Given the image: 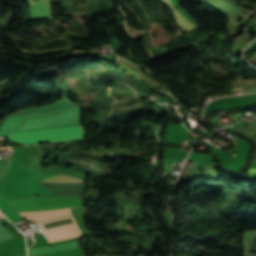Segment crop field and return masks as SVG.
<instances>
[{"instance_id": "6", "label": "crop field", "mask_w": 256, "mask_h": 256, "mask_svg": "<svg viewBox=\"0 0 256 256\" xmlns=\"http://www.w3.org/2000/svg\"><path fill=\"white\" fill-rule=\"evenodd\" d=\"M78 247H79V242L78 241H74V242H70V243H66V244H61V245H56V246H52V247L29 250L28 254H29V256H31V255L55 252V251L72 249V248H78Z\"/></svg>"}, {"instance_id": "1", "label": "crop field", "mask_w": 256, "mask_h": 256, "mask_svg": "<svg viewBox=\"0 0 256 256\" xmlns=\"http://www.w3.org/2000/svg\"><path fill=\"white\" fill-rule=\"evenodd\" d=\"M9 174L5 178L8 199L33 195H55L45 186L22 171L28 169L13 158L8 162ZM41 183H82L75 177L64 173L40 181Z\"/></svg>"}, {"instance_id": "4", "label": "crop field", "mask_w": 256, "mask_h": 256, "mask_svg": "<svg viewBox=\"0 0 256 256\" xmlns=\"http://www.w3.org/2000/svg\"><path fill=\"white\" fill-rule=\"evenodd\" d=\"M164 4L172 11L175 17V21L180 29L185 32L193 31L199 29L194 24H192L188 19H186L172 4L170 0H163Z\"/></svg>"}, {"instance_id": "8", "label": "crop field", "mask_w": 256, "mask_h": 256, "mask_svg": "<svg viewBox=\"0 0 256 256\" xmlns=\"http://www.w3.org/2000/svg\"><path fill=\"white\" fill-rule=\"evenodd\" d=\"M3 217L1 214H0V218Z\"/></svg>"}, {"instance_id": "5", "label": "crop field", "mask_w": 256, "mask_h": 256, "mask_svg": "<svg viewBox=\"0 0 256 256\" xmlns=\"http://www.w3.org/2000/svg\"><path fill=\"white\" fill-rule=\"evenodd\" d=\"M30 2L29 9L34 19L38 18H52L48 0H41L37 2Z\"/></svg>"}, {"instance_id": "7", "label": "crop field", "mask_w": 256, "mask_h": 256, "mask_svg": "<svg viewBox=\"0 0 256 256\" xmlns=\"http://www.w3.org/2000/svg\"><path fill=\"white\" fill-rule=\"evenodd\" d=\"M0 209L8 216V218L14 222L21 219V217L15 212L8 201L0 197Z\"/></svg>"}, {"instance_id": "2", "label": "crop field", "mask_w": 256, "mask_h": 256, "mask_svg": "<svg viewBox=\"0 0 256 256\" xmlns=\"http://www.w3.org/2000/svg\"><path fill=\"white\" fill-rule=\"evenodd\" d=\"M10 202L24 218L37 221L69 215V208L80 206L77 196L27 197Z\"/></svg>"}, {"instance_id": "3", "label": "crop field", "mask_w": 256, "mask_h": 256, "mask_svg": "<svg viewBox=\"0 0 256 256\" xmlns=\"http://www.w3.org/2000/svg\"><path fill=\"white\" fill-rule=\"evenodd\" d=\"M81 131H85L83 125H77V126L60 127V128H52V129L14 132L12 135L8 136V138H10L11 140H16V139H24V138H32V137H40V136H48V135L81 132ZM84 136H85V132H81V133L49 136V137L16 140L15 142L21 143V144H29V143H36V142H42V141L78 140V139H83Z\"/></svg>"}]
</instances>
